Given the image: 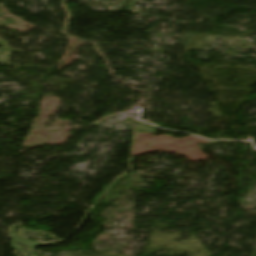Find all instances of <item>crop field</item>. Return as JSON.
<instances>
[{"mask_svg": "<svg viewBox=\"0 0 256 256\" xmlns=\"http://www.w3.org/2000/svg\"><path fill=\"white\" fill-rule=\"evenodd\" d=\"M40 244L29 241L27 239L18 237L12 234L11 247L21 250L23 252L31 254L30 256H35L32 252L34 246H39Z\"/></svg>", "mask_w": 256, "mask_h": 256, "instance_id": "obj_1", "label": "crop field"}]
</instances>
